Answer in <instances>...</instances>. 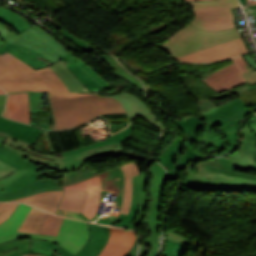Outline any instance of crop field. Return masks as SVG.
I'll use <instances>...</instances> for the list:
<instances>
[{"mask_svg":"<svg viewBox=\"0 0 256 256\" xmlns=\"http://www.w3.org/2000/svg\"><path fill=\"white\" fill-rule=\"evenodd\" d=\"M0 36L6 43L0 47V55L8 51L35 70L61 60L89 91L111 89L109 83L94 69L37 26H32L17 36L0 25Z\"/></svg>","mask_w":256,"mask_h":256,"instance_id":"obj_1","label":"crop field"},{"mask_svg":"<svg viewBox=\"0 0 256 256\" xmlns=\"http://www.w3.org/2000/svg\"><path fill=\"white\" fill-rule=\"evenodd\" d=\"M163 49L184 62H212L247 52L236 28L206 32L190 24L172 35Z\"/></svg>","mask_w":256,"mask_h":256,"instance_id":"obj_2","label":"crop field"},{"mask_svg":"<svg viewBox=\"0 0 256 256\" xmlns=\"http://www.w3.org/2000/svg\"><path fill=\"white\" fill-rule=\"evenodd\" d=\"M55 129L86 123L101 114L126 113L109 96L98 93L47 92Z\"/></svg>","mask_w":256,"mask_h":256,"instance_id":"obj_3","label":"crop field"},{"mask_svg":"<svg viewBox=\"0 0 256 256\" xmlns=\"http://www.w3.org/2000/svg\"><path fill=\"white\" fill-rule=\"evenodd\" d=\"M182 185L192 190L256 191V174L235 170L231 156L207 159L191 165Z\"/></svg>","mask_w":256,"mask_h":256,"instance_id":"obj_4","label":"crop field"},{"mask_svg":"<svg viewBox=\"0 0 256 256\" xmlns=\"http://www.w3.org/2000/svg\"><path fill=\"white\" fill-rule=\"evenodd\" d=\"M0 86L8 93L69 91L50 66L35 71L8 52L0 56Z\"/></svg>","mask_w":256,"mask_h":256,"instance_id":"obj_5","label":"crop field"},{"mask_svg":"<svg viewBox=\"0 0 256 256\" xmlns=\"http://www.w3.org/2000/svg\"><path fill=\"white\" fill-rule=\"evenodd\" d=\"M197 107L200 114L206 119L205 133L199 139V144H204L208 148L225 147L226 145L215 133L214 126L220 124L222 134L231 145L227 150L230 152L236 144L239 122L251 111L239 97L220 106L213 100H207L197 104Z\"/></svg>","mask_w":256,"mask_h":256,"instance_id":"obj_6","label":"crop field"},{"mask_svg":"<svg viewBox=\"0 0 256 256\" xmlns=\"http://www.w3.org/2000/svg\"><path fill=\"white\" fill-rule=\"evenodd\" d=\"M0 160L16 168L7 177L0 179V185L5 190L0 193H6L7 201L44 191L63 190L60 182L51 179L36 180L37 175L33 171L39 168L4 146L0 147Z\"/></svg>","mask_w":256,"mask_h":256,"instance_id":"obj_7","label":"crop field"},{"mask_svg":"<svg viewBox=\"0 0 256 256\" xmlns=\"http://www.w3.org/2000/svg\"><path fill=\"white\" fill-rule=\"evenodd\" d=\"M194 17L190 24L206 31H221L234 28L231 9L240 7L237 0H212L187 2Z\"/></svg>","mask_w":256,"mask_h":256,"instance_id":"obj_8","label":"crop field"},{"mask_svg":"<svg viewBox=\"0 0 256 256\" xmlns=\"http://www.w3.org/2000/svg\"><path fill=\"white\" fill-rule=\"evenodd\" d=\"M165 169L159 164L154 162L149 166V190L148 194L151 198L148 208H147V219H146V229L151 231V235L147 237L146 243L151 247L145 249L140 245L139 256H154L160 243L157 232L158 224V207L160 196L162 192V185L164 180Z\"/></svg>","mask_w":256,"mask_h":256,"instance_id":"obj_9","label":"crop field"},{"mask_svg":"<svg viewBox=\"0 0 256 256\" xmlns=\"http://www.w3.org/2000/svg\"><path fill=\"white\" fill-rule=\"evenodd\" d=\"M232 63V60H226L218 63H205V64H182L179 63L178 70H199L200 74L197 75H180V78L184 81L186 88L190 90L194 95L198 97L199 101L209 99L210 96L218 94L213 88L207 85L200 78Z\"/></svg>","mask_w":256,"mask_h":256,"instance_id":"obj_10","label":"crop field"},{"mask_svg":"<svg viewBox=\"0 0 256 256\" xmlns=\"http://www.w3.org/2000/svg\"><path fill=\"white\" fill-rule=\"evenodd\" d=\"M233 61L234 63L202 78V80L219 93L247 83L242 74L251 72L253 69L243 56L235 58Z\"/></svg>","mask_w":256,"mask_h":256,"instance_id":"obj_11","label":"crop field"},{"mask_svg":"<svg viewBox=\"0 0 256 256\" xmlns=\"http://www.w3.org/2000/svg\"><path fill=\"white\" fill-rule=\"evenodd\" d=\"M256 115L243 128L240 148L231 154L235 168L256 173Z\"/></svg>","mask_w":256,"mask_h":256,"instance_id":"obj_12","label":"crop field"},{"mask_svg":"<svg viewBox=\"0 0 256 256\" xmlns=\"http://www.w3.org/2000/svg\"><path fill=\"white\" fill-rule=\"evenodd\" d=\"M59 248L56 242L24 238L0 244V256H18L28 253L54 256Z\"/></svg>","mask_w":256,"mask_h":256,"instance_id":"obj_13","label":"crop field"},{"mask_svg":"<svg viewBox=\"0 0 256 256\" xmlns=\"http://www.w3.org/2000/svg\"><path fill=\"white\" fill-rule=\"evenodd\" d=\"M87 238V223L64 218L56 242L72 254H76Z\"/></svg>","mask_w":256,"mask_h":256,"instance_id":"obj_14","label":"crop field"},{"mask_svg":"<svg viewBox=\"0 0 256 256\" xmlns=\"http://www.w3.org/2000/svg\"><path fill=\"white\" fill-rule=\"evenodd\" d=\"M125 176V189L123 196V205L119 217L111 222L110 226H118L131 223L135 221L136 214L138 211V204H131V191L132 182L131 177L140 173L138 165L130 163L128 165L120 167Z\"/></svg>","mask_w":256,"mask_h":256,"instance_id":"obj_15","label":"crop field"},{"mask_svg":"<svg viewBox=\"0 0 256 256\" xmlns=\"http://www.w3.org/2000/svg\"><path fill=\"white\" fill-rule=\"evenodd\" d=\"M62 187L64 190L87 191L86 202L82 213L90 220L97 211L101 195V181L99 175Z\"/></svg>","mask_w":256,"mask_h":256,"instance_id":"obj_16","label":"crop field"},{"mask_svg":"<svg viewBox=\"0 0 256 256\" xmlns=\"http://www.w3.org/2000/svg\"><path fill=\"white\" fill-rule=\"evenodd\" d=\"M100 176L102 180V195H103V197H101L100 204L101 202H103L106 191L117 194L114 201L118 202V204L115 208H119V212H120V208L122 205L123 189H124V176L122 171L120 170V168H116V169H112L107 172H104L100 174ZM113 209L109 214V216L113 214L116 216L115 218H117L119 212H114ZM105 217L106 216L102 217L100 220L96 222L107 225L108 223H110L115 219L113 218L109 220Z\"/></svg>","mask_w":256,"mask_h":256,"instance_id":"obj_17","label":"crop field"},{"mask_svg":"<svg viewBox=\"0 0 256 256\" xmlns=\"http://www.w3.org/2000/svg\"><path fill=\"white\" fill-rule=\"evenodd\" d=\"M110 230V239L99 256H124L132 248L136 233L129 230L112 228Z\"/></svg>","mask_w":256,"mask_h":256,"instance_id":"obj_18","label":"crop field"},{"mask_svg":"<svg viewBox=\"0 0 256 256\" xmlns=\"http://www.w3.org/2000/svg\"><path fill=\"white\" fill-rule=\"evenodd\" d=\"M3 145L18 153L22 157H27L44 166L54 168L60 172L63 168L62 154H40L29 148L30 145L9 138H7Z\"/></svg>","mask_w":256,"mask_h":256,"instance_id":"obj_19","label":"crop field"},{"mask_svg":"<svg viewBox=\"0 0 256 256\" xmlns=\"http://www.w3.org/2000/svg\"><path fill=\"white\" fill-rule=\"evenodd\" d=\"M114 153H122L121 143L109 146L99 147L82 153L64 157V169L62 173H68L78 170L87 161L98 157Z\"/></svg>","mask_w":256,"mask_h":256,"instance_id":"obj_20","label":"crop field"},{"mask_svg":"<svg viewBox=\"0 0 256 256\" xmlns=\"http://www.w3.org/2000/svg\"><path fill=\"white\" fill-rule=\"evenodd\" d=\"M178 126L185 133L184 138L187 140L186 153L180 156L179 169L187 167L188 163L201 155L192 150L193 140L196 139L198 128L201 126V119L196 116H187L178 121Z\"/></svg>","mask_w":256,"mask_h":256,"instance_id":"obj_21","label":"crop field"},{"mask_svg":"<svg viewBox=\"0 0 256 256\" xmlns=\"http://www.w3.org/2000/svg\"><path fill=\"white\" fill-rule=\"evenodd\" d=\"M0 130L10 133L9 138L22 141L27 144H35L42 129L35 128L20 122L4 119L0 116Z\"/></svg>","mask_w":256,"mask_h":256,"instance_id":"obj_22","label":"crop field"},{"mask_svg":"<svg viewBox=\"0 0 256 256\" xmlns=\"http://www.w3.org/2000/svg\"><path fill=\"white\" fill-rule=\"evenodd\" d=\"M30 209L31 206L21 204L11 217L0 225V237L15 233V236L55 241L56 237L53 236L16 232Z\"/></svg>","mask_w":256,"mask_h":256,"instance_id":"obj_23","label":"crop field"},{"mask_svg":"<svg viewBox=\"0 0 256 256\" xmlns=\"http://www.w3.org/2000/svg\"><path fill=\"white\" fill-rule=\"evenodd\" d=\"M3 116L30 124L27 92L8 94L7 109Z\"/></svg>","mask_w":256,"mask_h":256,"instance_id":"obj_24","label":"crop field"},{"mask_svg":"<svg viewBox=\"0 0 256 256\" xmlns=\"http://www.w3.org/2000/svg\"><path fill=\"white\" fill-rule=\"evenodd\" d=\"M133 192H132V203H139V212L135 222L124 225L122 227L130 228L136 231L135 226L142 224L144 212L146 210V203L148 201L147 194L145 192L147 178L144 173L139 174L132 178Z\"/></svg>","mask_w":256,"mask_h":256,"instance_id":"obj_25","label":"crop field"},{"mask_svg":"<svg viewBox=\"0 0 256 256\" xmlns=\"http://www.w3.org/2000/svg\"><path fill=\"white\" fill-rule=\"evenodd\" d=\"M92 225L93 239L87 249L80 256H98L109 238V230L106 226ZM55 256H74L64 248H60Z\"/></svg>","mask_w":256,"mask_h":256,"instance_id":"obj_26","label":"crop field"},{"mask_svg":"<svg viewBox=\"0 0 256 256\" xmlns=\"http://www.w3.org/2000/svg\"><path fill=\"white\" fill-rule=\"evenodd\" d=\"M183 140L176 137L171 145L165 149L157 159L167 170V180H174L178 173V160Z\"/></svg>","mask_w":256,"mask_h":256,"instance_id":"obj_27","label":"crop field"},{"mask_svg":"<svg viewBox=\"0 0 256 256\" xmlns=\"http://www.w3.org/2000/svg\"><path fill=\"white\" fill-rule=\"evenodd\" d=\"M111 97L121 102L126 112L128 113L130 119H132L135 115L140 114L152 123H154L156 126H158L161 129L163 135V129L160 126V124L154 119V117L144 106V104L140 102L137 98L125 93L113 95Z\"/></svg>","mask_w":256,"mask_h":256,"instance_id":"obj_28","label":"crop field"},{"mask_svg":"<svg viewBox=\"0 0 256 256\" xmlns=\"http://www.w3.org/2000/svg\"><path fill=\"white\" fill-rule=\"evenodd\" d=\"M62 194L63 191L45 192L14 201L25 202L55 214Z\"/></svg>","mask_w":256,"mask_h":256,"instance_id":"obj_29","label":"crop field"},{"mask_svg":"<svg viewBox=\"0 0 256 256\" xmlns=\"http://www.w3.org/2000/svg\"><path fill=\"white\" fill-rule=\"evenodd\" d=\"M0 22L8 25L14 29L19 34L22 33L27 28L31 27L33 24L29 22L24 17L0 6ZM5 43L0 40V46Z\"/></svg>","mask_w":256,"mask_h":256,"instance_id":"obj_30","label":"crop field"},{"mask_svg":"<svg viewBox=\"0 0 256 256\" xmlns=\"http://www.w3.org/2000/svg\"><path fill=\"white\" fill-rule=\"evenodd\" d=\"M51 67L57 75L64 81L70 91H88L85 86L74 76V74L64 66L62 62H57Z\"/></svg>","mask_w":256,"mask_h":256,"instance_id":"obj_31","label":"crop field"},{"mask_svg":"<svg viewBox=\"0 0 256 256\" xmlns=\"http://www.w3.org/2000/svg\"><path fill=\"white\" fill-rule=\"evenodd\" d=\"M86 192L65 191L59 205L60 209L81 212L85 202Z\"/></svg>","mask_w":256,"mask_h":256,"instance_id":"obj_32","label":"crop field"},{"mask_svg":"<svg viewBox=\"0 0 256 256\" xmlns=\"http://www.w3.org/2000/svg\"><path fill=\"white\" fill-rule=\"evenodd\" d=\"M46 214V212L32 207L18 231L38 233Z\"/></svg>","mask_w":256,"mask_h":256,"instance_id":"obj_33","label":"crop field"},{"mask_svg":"<svg viewBox=\"0 0 256 256\" xmlns=\"http://www.w3.org/2000/svg\"><path fill=\"white\" fill-rule=\"evenodd\" d=\"M189 243L190 241L176 234L168 233L167 249L163 256H181L182 253L192 248Z\"/></svg>","mask_w":256,"mask_h":256,"instance_id":"obj_34","label":"crop field"},{"mask_svg":"<svg viewBox=\"0 0 256 256\" xmlns=\"http://www.w3.org/2000/svg\"><path fill=\"white\" fill-rule=\"evenodd\" d=\"M132 129H133V124L131 123L130 126L127 129L117 133L116 135L108 138L107 140H105L103 142H100V143H97V144H94V145H91V146H88V147L76 149L74 151L65 152V153H63V157L71 155V154H75V153H78V152H81V151H85V150H88V149H92V148H95V147L109 145V144H113V143H117V142H122L123 140H125L130 135Z\"/></svg>","mask_w":256,"mask_h":256,"instance_id":"obj_35","label":"crop field"},{"mask_svg":"<svg viewBox=\"0 0 256 256\" xmlns=\"http://www.w3.org/2000/svg\"><path fill=\"white\" fill-rule=\"evenodd\" d=\"M95 174H98L94 170L90 169L86 164L80 168L77 172L68 173V174H62L61 180L62 185L68 184L71 182H75L78 180L85 179L87 177L93 176Z\"/></svg>","mask_w":256,"mask_h":256,"instance_id":"obj_36","label":"crop field"},{"mask_svg":"<svg viewBox=\"0 0 256 256\" xmlns=\"http://www.w3.org/2000/svg\"><path fill=\"white\" fill-rule=\"evenodd\" d=\"M62 219L61 217L48 213L39 233L56 236Z\"/></svg>","mask_w":256,"mask_h":256,"instance_id":"obj_37","label":"crop field"},{"mask_svg":"<svg viewBox=\"0 0 256 256\" xmlns=\"http://www.w3.org/2000/svg\"><path fill=\"white\" fill-rule=\"evenodd\" d=\"M109 66L112 67L116 71V74L120 75L123 79L127 80L130 84L139 87L142 90V92L144 93L141 81L138 80L137 78H135L133 75H131L126 70H124L117 61L110 64Z\"/></svg>","mask_w":256,"mask_h":256,"instance_id":"obj_38","label":"crop field"},{"mask_svg":"<svg viewBox=\"0 0 256 256\" xmlns=\"http://www.w3.org/2000/svg\"><path fill=\"white\" fill-rule=\"evenodd\" d=\"M177 79L179 80V82L182 84L183 81L179 79V76H177ZM182 86L184 87L185 85L182 84ZM253 88H256V85H252V86H249L248 84L246 85H242V86H238L236 88H233L229 91H226V92H223L221 94H218V95H215V96H212L211 99H219V98H222V97H225V96H228V95H231V94H234V93H239V92H242V91H246V90H249V89H253ZM186 89V88H185ZM187 90V89H186ZM188 91V90H187ZM188 93L190 94V96L192 97V99L196 100L197 103H200L198 100H197V97L194 96L191 92L188 91Z\"/></svg>","mask_w":256,"mask_h":256,"instance_id":"obj_39","label":"crop field"},{"mask_svg":"<svg viewBox=\"0 0 256 256\" xmlns=\"http://www.w3.org/2000/svg\"><path fill=\"white\" fill-rule=\"evenodd\" d=\"M17 205L18 203H7L0 207V224L11 215Z\"/></svg>","mask_w":256,"mask_h":256,"instance_id":"obj_40","label":"crop field"},{"mask_svg":"<svg viewBox=\"0 0 256 256\" xmlns=\"http://www.w3.org/2000/svg\"><path fill=\"white\" fill-rule=\"evenodd\" d=\"M110 123H130L127 114L101 115Z\"/></svg>","mask_w":256,"mask_h":256,"instance_id":"obj_41","label":"crop field"},{"mask_svg":"<svg viewBox=\"0 0 256 256\" xmlns=\"http://www.w3.org/2000/svg\"><path fill=\"white\" fill-rule=\"evenodd\" d=\"M237 95L240 96V98L242 99L246 106L250 103L256 102V89L242 92Z\"/></svg>","mask_w":256,"mask_h":256,"instance_id":"obj_42","label":"crop field"},{"mask_svg":"<svg viewBox=\"0 0 256 256\" xmlns=\"http://www.w3.org/2000/svg\"><path fill=\"white\" fill-rule=\"evenodd\" d=\"M13 170L15 169L0 161V178L7 176Z\"/></svg>","mask_w":256,"mask_h":256,"instance_id":"obj_43","label":"crop field"},{"mask_svg":"<svg viewBox=\"0 0 256 256\" xmlns=\"http://www.w3.org/2000/svg\"><path fill=\"white\" fill-rule=\"evenodd\" d=\"M128 124H110V132L111 133H115L118 132L122 129H124L125 127H127Z\"/></svg>","mask_w":256,"mask_h":256,"instance_id":"obj_44","label":"crop field"},{"mask_svg":"<svg viewBox=\"0 0 256 256\" xmlns=\"http://www.w3.org/2000/svg\"><path fill=\"white\" fill-rule=\"evenodd\" d=\"M245 78L248 80L249 84H256V71L244 74Z\"/></svg>","mask_w":256,"mask_h":256,"instance_id":"obj_45","label":"crop field"},{"mask_svg":"<svg viewBox=\"0 0 256 256\" xmlns=\"http://www.w3.org/2000/svg\"><path fill=\"white\" fill-rule=\"evenodd\" d=\"M88 229H89V238H88V241H87V243L84 245V247L78 252V254H81V252L86 249V247L88 246V244L90 243V241H91V239H92V231H91V225H90V223H88Z\"/></svg>","mask_w":256,"mask_h":256,"instance_id":"obj_46","label":"crop field"},{"mask_svg":"<svg viewBox=\"0 0 256 256\" xmlns=\"http://www.w3.org/2000/svg\"><path fill=\"white\" fill-rule=\"evenodd\" d=\"M99 57H100L102 60H104L107 64H110V63L116 61L113 57L107 56V55H105V54H101Z\"/></svg>","mask_w":256,"mask_h":256,"instance_id":"obj_47","label":"crop field"},{"mask_svg":"<svg viewBox=\"0 0 256 256\" xmlns=\"http://www.w3.org/2000/svg\"><path fill=\"white\" fill-rule=\"evenodd\" d=\"M19 238L20 237H14V234H12V235H9V236L1 237L0 238V243L15 240V239H19Z\"/></svg>","mask_w":256,"mask_h":256,"instance_id":"obj_48","label":"crop field"},{"mask_svg":"<svg viewBox=\"0 0 256 256\" xmlns=\"http://www.w3.org/2000/svg\"><path fill=\"white\" fill-rule=\"evenodd\" d=\"M137 241H138V236L136 243L134 244L133 248L130 250V252L126 256H136L137 255Z\"/></svg>","mask_w":256,"mask_h":256,"instance_id":"obj_49","label":"crop field"},{"mask_svg":"<svg viewBox=\"0 0 256 256\" xmlns=\"http://www.w3.org/2000/svg\"><path fill=\"white\" fill-rule=\"evenodd\" d=\"M5 98H6V95H0V115L3 112L5 107Z\"/></svg>","mask_w":256,"mask_h":256,"instance_id":"obj_50","label":"crop field"},{"mask_svg":"<svg viewBox=\"0 0 256 256\" xmlns=\"http://www.w3.org/2000/svg\"><path fill=\"white\" fill-rule=\"evenodd\" d=\"M247 62L256 70V62H254L253 58L249 55L244 56Z\"/></svg>","mask_w":256,"mask_h":256,"instance_id":"obj_51","label":"crop field"},{"mask_svg":"<svg viewBox=\"0 0 256 256\" xmlns=\"http://www.w3.org/2000/svg\"><path fill=\"white\" fill-rule=\"evenodd\" d=\"M147 95L152 96L155 94V90L150 87V84L144 83Z\"/></svg>","mask_w":256,"mask_h":256,"instance_id":"obj_52","label":"crop field"},{"mask_svg":"<svg viewBox=\"0 0 256 256\" xmlns=\"http://www.w3.org/2000/svg\"><path fill=\"white\" fill-rule=\"evenodd\" d=\"M8 133H4L0 131V146L5 141V139L8 137Z\"/></svg>","mask_w":256,"mask_h":256,"instance_id":"obj_53","label":"crop field"},{"mask_svg":"<svg viewBox=\"0 0 256 256\" xmlns=\"http://www.w3.org/2000/svg\"><path fill=\"white\" fill-rule=\"evenodd\" d=\"M56 214H57V215H60V216H65V217H71V218H73V217L70 216L66 211L60 210V209H58V211H57Z\"/></svg>","mask_w":256,"mask_h":256,"instance_id":"obj_54","label":"crop field"},{"mask_svg":"<svg viewBox=\"0 0 256 256\" xmlns=\"http://www.w3.org/2000/svg\"><path fill=\"white\" fill-rule=\"evenodd\" d=\"M247 107H249L253 112L256 111V103H253V104H251L250 106H247Z\"/></svg>","mask_w":256,"mask_h":256,"instance_id":"obj_55","label":"crop field"},{"mask_svg":"<svg viewBox=\"0 0 256 256\" xmlns=\"http://www.w3.org/2000/svg\"><path fill=\"white\" fill-rule=\"evenodd\" d=\"M100 216H102V214L96 213L94 217L91 219V221L98 219Z\"/></svg>","mask_w":256,"mask_h":256,"instance_id":"obj_56","label":"crop field"},{"mask_svg":"<svg viewBox=\"0 0 256 256\" xmlns=\"http://www.w3.org/2000/svg\"><path fill=\"white\" fill-rule=\"evenodd\" d=\"M0 201H6L5 194H0Z\"/></svg>","mask_w":256,"mask_h":256,"instance_id":"obj_57","label":"crop field"},{"mask_svg":"<svg viewBox=\"0 0 256 256\" xmlns=\"http://www.w3.org/2000/svg\"><path fill=\"white\" fill-rule=\"evenodd\" d=\"M240 2H241V4H242L243 6H245L246 0H240Z\"/></svg>","mask_w":256,"mask_h":256,"instance_id":"obj_58","label":"crop field"},{"mask_svg":"<svg viewBox=\"0 0 256 256\" xmlns=\"http://www.w3.org/2000/svg\"><path fill=\"white\" fill-rule=\"evenodd\" d=\"M247 16L253 15V12L246 13Z\"/></svg>","mask_w":256,"mask_h":256,"instance_id":"obj_59","label":"crop field"},{"mask_svg":"<svg viewBox=\"0 0 256 256\" xmlns=\"http://www.w3.org/2000/svg\"><path fill=\"white\" fill-rule=\"evenodd\" d=\"M248 256H256V252H255V253H252V254H250V255H248Z\"/></svg>","mask_w":256,"mask_h":256,"instance_id":"obj_60","label":"crop field"},{"mask_svg":"<svg viewBox=\"0 0 256 256\" xmlns=\"http://www.w3.org/2000/svg\"><path fill=\"white\" fill-rule=\"evenodd\" d=\"M0 191H4L2 186H0Z\"/></svg>","mask_w":256,"mask_h":256,"instance_id":"obj_61","label":"crop field"},{"mask_svg":"<svg viewBox=\"0 0 256 256\" xmlns=\"http://www.w3.org/2000/svg\"><path fill=\"white\" fill-rule=\"evenodd\" d=\"M0 93H6V92H4L2 89H0Z\"/></svg>","mask_w":256,"mask_h":256,"instance_id":"obj_62","label":"crop field"},{"mask_svg":"<svg viewBox=\"0 0 256 256\" xmlns=\"http://www.w3.org/2000/svg\"><path fill=\"white\" fill-rule=\"evenodd\" d=\"M3 204H5V203H0V206H2Z\"/></svg>","mask_w":256,"mask_h":256,"instance_id":"obj_63","label":"crop field"},{"mask_svg":"<svg viewBox=\"0 0 256 256\" xmlns=\"http://www.w3.org/2000/svg\"><path fill=\"white\" fill-rule=\"evenodd\" d=\"M183 1H192V0H183Z\"/></svg>","mask_w":256,"mask_h":256,"instance_id":"obj_64","label":"crop field"},{"mask_svg":"<svg viewBox=\"0 0 256 256\" xmlns=\"http://www.w3.org/2000/svg\"><path fill=\"white\" fill-rule=\"evenodd\" d=\"M27 256H32V255H27Z\"/></svg>","mask_w":256,"mask_h":256,"instance_id":"obj_65","label":"crop field"}]
</instances>
